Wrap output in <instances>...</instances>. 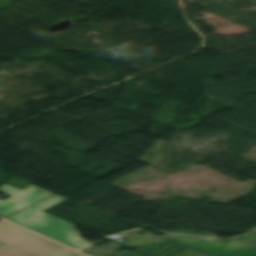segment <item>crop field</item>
Listing matches in <instances>:
<instances>
[{
  "instance_id": "crop-field-1",
  "label": "crop field",
  "mask_w": 256,
  "mask_h": 256,
  "mask_svg": "<svg viewBox=\"0 0 256 256\" xmlns=\"http://www.w3.org/2000/svg\"><path fill=\"white\" fill-rule=\"evenodd\" d=\"M66 200L56 194L6 219L78 249L90 242L80 238L75 225L43 212Z\"/></svg>"
},
{
  "instance_id": "crop-field-2",
  "label": "crop field",
  "mask_w": 256,
  "mask_h": 256,
  "mask_svg": "<svg viewBox=\"0 0 256 256\" xmlns=\"http://www.w3.org/2000/svg\"><path fill=\"white\" fill-rule=\"evenodd\" d=\"M0 256H84L30 231L0 221Z\"/></svg>"
},
{
  "instance_id": "crop-field-3",
  "label": "crop field",
  "mask_w": 256,
  "mask_h": 256,
  "mask_svg": "<svg viewBox=\"0 0 256 256\" xmlns=\"http://www.w3.org/2000/svg\"><path fill=\"white\" fill-rule=\"evenodd\" d=\"M209 256H256V246L234 239L198 238L181 235L162 236Z\"/></svg>"
},
{
  "instance_id": "crop-field-4",
  "label": "crop field",
  "mask_w": 256,
  "mask_h": 256,
  "mask_svg": "<svg viewBox=\"0 0 256 256\" xmlns=\"http://www.w3.org/2000/svg\"><path fill=\"white\" fill-rule=\"evenodd\" d=\"M0 191L11 196L0 203V217L2 218L53 194L33 185L20 191L5 184L0 188Z\"/></svg>"
},
{
  "instance_id": "crop-field-5",
  "label": "crop field",
  "mask_w": 256,
  "mask_h": 256,
  "mask_svg": "<svg viewBox=\"0 0 256 256\" xmlns=\"http://www.w3.org/2000/svg\"><path fill=\"white\" fill-rule=\"evenodd\" d=\"M142 231L141 229H138V230H135V231H131L133 233H135L134 235L132 236H129L127 238H125L126 240H128L127 242L123 243L125 245H129V246H134L152 236H155L137 246H135L134 248H138L139 246L159 237V236H156L154 234H151V233H147V234H144V235H139L137 234L138 232ZM187 247L185 246H182V245H179L177 243H174L172 241H169L167 239H164L162 237H160L159 239L153 241L152 243L142 247V248H139L138 250L142 251V252H145L149 255H152V256H171L183 249H185Z\"/></svg>"
},
{
  "instance_id": "crop-field-6",
  "label": "crop field",
  "mask_w": 256,
  "mask_h": 256,
  "mask_svg": "<svg viewBox=\"0 0 256 256\" xmlns=\"http://www.w3.org/2000/svg\"><path fill=\"white\" fill-rule=\"evenodd\" d=\"M124 245L112 240L98 248L89 246L81 251L86 252L93 256H149L140 251L137 252H120L119 249L123 248Z\"/></svg>"
},
{
  "instance_id": "crop-field-7",
  "label": "crop field",
  "mask_w": 256,
  "mask_h": 256,
  "mask_svg": "<svg viewBox=\"0 0 256 256\" xmlns=\"http://www.w3.org/2000/svg\"><path fill=\"white\" fill-rule=\"evenodd\" d=\"M174 256H207V255H204L202 253H199L195 250H192V249L188 248V249H186V250H184V251H182V252H180V253H178Z\"/></svg>"
},
{
  "instance_id": "crop-field-8",
  "label": "crop field",
  "mask_w": 256,
  "mask_h": 256,
  "mask_svg": "<svg viewBox=\"0 0 256 256\" xmlns=\"http://www.w3.org/2000/svg\"><path fill=\"white\" fill-rule=\"evenodd\" d=\"M237 238L242 239L244 241H247L249 243H252V244L256 245V231H254V232H252L250 234L241 236V237H237Z\"/></svg>"
},
{
  "instance_id": "crop-field-9",
  "label": "crop field",
  "mask_w": 256,
  "mask_h": 256,
  "mask_svg": "<svg viewBox=\"0 0 256 256\" xmlns=\"http://www.w3.org/2000/svg\"><path fill=\"white\" fill-rule=\"evenodd\" d=\"M162 232L167 233H184V234H192V235H199V236H217L212 234H203V233H196V232H190V231H176V230H160Z\"/></svg>"
}]
</instances>
